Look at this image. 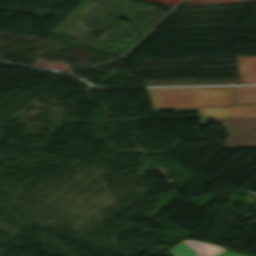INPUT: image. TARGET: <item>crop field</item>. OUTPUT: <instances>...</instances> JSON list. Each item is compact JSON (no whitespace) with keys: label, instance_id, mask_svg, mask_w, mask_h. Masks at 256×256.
I'll list each match as a JSON object with an SVG mask.
<instances>
[{"label":"crop field","instance_id":"obj_2","mask_svg":"<svg viewBox=\"0 0 256 256\" xmlns=\"http://www.w3.org/2000/svg\"><path fill=\"white\" fill-rule=\"evenodd\" d=\"M224 123L229 137L225 147H256V119H212Z\"/></svg>","mask_w":256,"mask_h":256},{"label":"crop field","instance_id":"obj_5","mask_svg":"<svg viewBox=\"0 0 256 256\" xmlns=\"http://www.w3.org/2000/svg\"><path fill=\"white\" fill-rule=\"evenodd\" d=\"M169 252L172 253L174 256H196L199 253V251H197L196 249L192 248L191 246H189L184 242L176 246ZM216 256H247V255L224 250L219 254H217Z\"/></svg>","mask_w":256,"mask_h":256},{"label":"crop field","instance_id":"obj_3","mask_svg":"<svg viewBox=\"0 0 256 256\" xmlns=\"http://www.w3.org/2000/svg\"><path fill=\"white\" fill-rule=\"evenodd\" d=\"M200 110L201 117L208 118H256V105H227L177 109L176 112Z\"/></svg>","mask_w":256,"mask_h":256},{"label":"crop field","instance_id":"obj_4","mask_svg":"<svg viewBox=\"0 0 256 256\" xmlns=\"http://www.w3.org/2000/svg\"><path fill=\"white\" fill-rule=\"evenodd\" d=\"M241 84H256V56H239Z\"/></svg>","mask_w":256,"mask_h":256},{"label":"crop field","instance_id":"obj_6","mask_svg":"<svg viewBox=\"0 0 256 256\" xmlns=\"http://www.w3.org/2000/svg\"><path fill=\"white\" fill-rule=\"evenodd\" d=\"M256 103V86L236 87L235 104Z\"/></svg>","mask_w":256,"mask_h":256},{"label":"crop field","instance_id":"obj_1","mask_svg":"<svg viewBox=\"0 0 256 256\" xmlns=\"http://www.w3.org/2000/svg\"><path fill=\"white\" fill-rule=\"evenodd\" d=\"M149 90L156 110L233 104V87Z\"/></svg>","mask_w":256,"mask_h":256}]
</instances>
